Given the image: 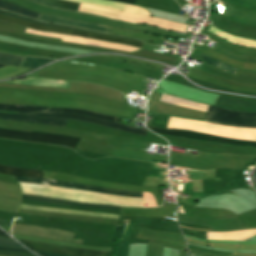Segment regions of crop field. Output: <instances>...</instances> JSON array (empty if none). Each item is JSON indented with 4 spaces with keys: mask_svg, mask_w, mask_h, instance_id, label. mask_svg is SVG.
<instances>
[{
    "mask_svg": "<svg viewBox=\"0 0 256 256\" xmlns=\"http://www.w3.org/2000/svg\"><path fill=\"white\" fill-rule=\"evenodd\" d=\"M33 115H43V116H53V117H63L70 118L90 123H95L123 131H128L132 133H137L141 135L147 134L146 130L138 129L130 126H126L119 123H114L106 120H101L93 117L75 115V114H59V113H33ZM0 119H9L16 120L22 122H30V123H38V124H46V125H54V126H62L65 127L67 119L62 118H52V117H42V116H32V115H18V114H8V113H0Z\"/></svg>",
    "mask_w": 256,
    "mask_h": 256,
    "instance_id": "crop-field-1",
    "label": "crop field"
},
{
    "mask_svg": "<svg viewBox=\"0 0 256 256\" xmlns=\"http://www.w3.org/2000/svg\"><path fill=\"white\" fill-rule=\"evenodd\" d=\"M0 173L12 174V175H17V176L41 178L42 171H33V170H26V169H20V168H14V167L0 165ZM17 176H14V178L20 182L52 185V186L74 188V189L96 191V192L118 194V195H126V196H134V197H142V192L114 190V189L85 186V185H81V184L67 183V182H61V181H55V180L17 177Z\"/></svg>",
    "mask_w": 256,
    "mask_h": 256,
    "instance_id": "crop-field-2",
    "label": "crop field"
},
{
    "mask_svg": "<svg viewBox=\"0 0 256 256\" xmlns=\"http://www.w3.org/2000/svg\"><path fill=\"white\" fill-rule=\"evenodd\" d=\"M0 13L7 14V15H10V16H14V17H17V18H21V19H24V20H27V21H31V22L40 24V25L60 27V28H66V29H71V30H76V31H82V32L97 34V35L109 36V35L95 33V32H91V31H87V30L67 27V26L42 23V22L30 19V18H26V17H23V16H19V15L13 14V13L6 12V11H3V10H0ZM3 14H0V20L6 21V22H10V23L20 24V25H23V26H26V27H30V28H34V29H38V30H41V31L63 33V34H69V35L85 37V38H91V39L102 40V41L124 43V44H129V45L137 46V47H140V48H141V45H142V43H139L140 41L139 42H133V41H136V40H133V41H127V40H131V39L121 40V39H126V38L115 39V38H120V37L109 38V37H114V36L103 37V36H97V35H92V34H87V33H81V32H76V31H71V30H66V29L40 26V25L31 23V22H27V21H24V20H21V19H17V18H14V17L3 15Z\"/></svg>",
    "mask_w": 256,
    "mask_h": 256,
    "instance_id": "crop-field-3",
    "label": "crop field"
},
{
    "mask_svg": "<svg viewBox=\"0 0 256 256\" xmlns=\"http://www.w3.org/2000/svg\"><path fill=\"white\" fill-rule=\"evenodd\" d=\"M205 121L223 125L256 127V113L231 111L209 106Z\"/></svg>",
    "mask_w": 256,
    "mask_h": 256,
    "instance_id": "crop-field-4",
    "label": "crop field"
},
{
    "mask_svg": "<svg viewBox=\"0 0 256 256\" xmlns=\"http://www.w3.org/2000/svg\"><path fill=\"white\" fill-rule=\"evenodd\" d=\"M0 137L61 145L69 148H74L79 141L78 138H73L69 136L51 135L42 132L13 131L5 129H0Z\"/></svg>",
    "mask_w": 256,
    "mask_h": 256,
    "instance_id": "crop-field-5",
    "label": "crop field"
},
{
    "mask_svg": "<svg viewBox=\"0 0 256 256\" xmlns=\"http://www.w3.org/2000/svg\"><path fill=\"white\" fill-rule=\"evenodd\" d=\"M0 7L4 8V9H7V10L17 12V13H20V14H23V15H27V16H30V17H33V18H35L36 15L38 14V13L28 11L26 9H23V8L19 7V6H16V5L7 3V2H3V1H0ZM36 19L43 20V21L60 23V24H65V25H70V26H75V27L89 29V30H93V31H99V32L110 33L111 30H112L110 28L96 26V25H92V24L86 23V22H81V21H76V20H71V19H65V18H60V17H54V16H49V15H43V14H38Z\"/></svg>",
    "mask_w": 256,
    "mask_h": 256,
    "instance_id": "crop-field-6",
    "label": "crop field"
},
{
    "mask_svg": "<svg viewBox=\"0 0 256 256\" xmlns=\"http://www.w3.org/2000/svg\"><path fill=\"white\" fill-rule=\"evenodd\" d=\"M24 246L34 251L46 252L63 256H112L113 253L68 248L51 244L19 240Z\"/></svg>",
    "mask_w": 256,
    "mask_h": 256,
    "instance_id": "crop-field-7",
    "label": "crop field"
},
{
    "mask_svg": "<svg viewBox=\"0 0 256 256\" xmlns=\"http://www.w3.org/2000/svg\"><path fill=\"white\" fill-rule=\"evenodd\" d=\"M148 127V126H147ZM149 130L155 133H163V134H170L182 138L194 139V140H210L219 143L231 144V145H247V146H256V141H239V140H232L218 136H212L207 134L183 131V130H165V129H158L153 127H148Z\"/></svg>",
    "mask_w": 256,
    "mask_h": 256,
    "instance_id": "crop-field-8",
    "label": "crop field"
},
{
    "mask_svg": "<svg viewBox=\"0 0 256 256\" xmlns=\"http://www.w3.org/2000/svg\"><path fill=\"white\" fill-rule=\"evenodd\" d=\"M22 199L46 202V203H52V204H64V205L82 206V207H90V208H105V209H115V210L134 211V212L157 211V208H125V207L102 205V204H86V203H79V202H73V201H67V200H61V199H55V198H49V197L27 195V194H23Z\"/></svg>",
    "mask_w": 256,
    "mask_h": 256,
    "instance_id": "crop-field-9",
    "label": "crop field"
},
{
    "mask_svg": "<svg viewBox=\"0 0 256 256\" xmlns=\"http://www.w3.org/2000/svg\"><path fill=\"white\" fill-rule=\"evenodd\" d=\"M69 1L92 4V5H97V6H101V7L113 8V9H118V10H122V11H127V12H132V13L149 16V13L144 8L132 6V5L121 4V3H117V2H111V1H106V0H69Z\"/></svg>",
    "mask_w": 256,
    "mask_h": 256,
    "instance_id": "crop-field-10",
    "label": "crop field"
},
{
    "mask_svg": "<svg viewBox=\"0 0 256 256\" xmlns=\"http://www.w3.org/2000/svg\"><path fill=\"white\" fill-rule=\"evenodd\" d=\"M19 208L22 209H30L37 211H50V212H59V213H67V214H75V215H85V216H94V217H103V218H113L118 219L119 216L115 215H107V214H99V213H90V212H81V211H72V210H62V209H51V208H42L30 205L21 204Z\"/></svg>",
    "mask_w": 256,
    "mask_h": 256,
    "instance_id": "crop-field-11",
    "label": "crop field"
},
{
    "mask_svg": "<svg viewBox=\"0 0 256 256\" xmlns=\"http://www.w3.org/2000/svg\"><path fill=\"white\" fill-rule=\"evenodd\" d=\"M208 31L215 34V35H218V36L222 37L224 40L229 41L233 44L245 45V46H248V47L256 48V41L231 36V35H229L225 32H222V31H220V30H218V29H216L212 26H209Z\"/></svg>",
    "mask_w": 256,
    "mask_h": 256,
    "instance_id": "crop-field-12",
    "label": "crop field"
},
{
    "mask_svg": "<svg viewBox=\"0 0 256 256\" xmlns=\"http://www.w3.org/2000/svg\"><path fill=\"white\" fill-rule=\"evenodd\" d=\"M48 109L47 107L39 106H27V105H11V104H0V110L17 111L23 114H29L32 112H42Z\"/></svg>",
    "mask_w": 256,
    "mask_h": 256,
    "instance_id": "crop-field-13",
    "label": "crop field"
},
{
    "mask_svg": "<svg viewBox=\"0 0 256 256\" xmlns=\"http://www.w3.org/2000/svg\"><path fill=\"white\" fill-rule=\"evenodd\" d=\"M44 112H63V113H77V114H82V115H88V116H94L110 121L116 122L118 118L116 117H111V116H106V115H101V114H96V113H91L87 111H82V110H73V109H58V108H50Z\"/></svg>",
    "mask_w": 256,
    "mask_h": 256,
    "instance_id": "crop-field-14",
    "label": "crop field"
},
{
    "mask_svg": "<svg viewBox=\"0 0 256 256\" xmlns=\"http://www.w3.org/2000/svg\"><path fill=\"white\" fill-rule=\"evenodd\" d=\"M42 4L68 9V10H75L78 3H72L64 0H33Z\"/></svg>",
    "mask_w": 256,
    "mask_h": 256,
    "instance_id": "crop-field-15",
    "label": "crop field"
},
{
    "mask_svg": "<svg viewBox=\"0 0 256 256\" xmlns=\"http://www.w3.org/2000/svg\"><path fill=\"white\" fill-rule=\"evenodd\" d=\"M55 61L53 59H45V58H31V57H26L24 62L22 63L21 67L23 68H31V69H36L46 63Z\"/></svg>",
    "mask_w": 256,
    "mask_h": 256,
    "instance_id": "crop-field-16",
    "label": "crop field"
},
{
    "mask_svg": "<svg viewBox=\"0 0 256 256\" xmlns=\"http://www.w3.org/2000/svg\"><path fill=\"white\" fill-rule=\"evenodd\" d=\"M200 55H201L203 61H205V62H207V63H209L211 65H214V66H216V67H218V68H220L222 70H225V71H227V72H229L231 74H233L234 71L236 70V68H234L232 66H229V65H227L225 63H222V62H220L218 60H215V59H213L211 57H208V56H206L204 54H200Z\"/></svg>",
    "mask_w": 256,
    "mask_h": 256,
    "instance_id": "crop-field-17",
    "label": "crop field"
},
{
    "mask_svg": "<svg viewBox=\"0 0 256 256\" xmlns=\"http://www.w3.org/2000/svg\"><path fill=\"white\" fill-rule=\"evenodd\" d=\"M23 59L24 57L21 56L0 53V63L2 64L18 66Z\"/></svg>",
    "mask_w": 256,
    "mask_h": 256,
    "instance_id": "crop-field-18",
    "label": "crop field"
},
{
    "mask_svg": "<svg viewBox=\"0 0 256 256\" xmlns=\"http://www.w3.org/2000/svg\"><path fill=\"white\" fill-rule=\"evenodd\" d=\"M0 246L25 249L24 247L20 246L16 241L4 238H0Z\"/></svg>",
    "mask_w": 256,
    "mask_h": 256,
    "instance_id": "crop-field-19",
    "label": "crop field"
},
{
    "mask_svg": "<svg viewBox=\"0 0 256 256\" xmlns=\"http://www.w3.org/2000/svg\"><path fill=\"white\" fill-rule=\"evenodd\" d=\"M0 250H1V251H7V252L31 254V253L28 252V251L18 250V249H12V248H5V247H0Z\"/></svg>",
    "mask_w": 256,
    "mask_h": 256,
    "instance_id": "crop-field-20",
    "label": "crop field"
},
{
    "mask_svg": "<svg viewBox=\"0 0 256 256\" xmlns=\"http://www.w3.org/2000/svg\"><path fill=\"white\" fill-rule=\"evenodd\" d=\"M0 255H4V256H28V255H21V254L7 253V252H1V251H0Z\"/></svg>",
    "mask_w": 256,
    "mask_h": 256,
    "instance_id": "crop-field-21",
    "label": "crop field"
},
{
    "mask_svg": "<svg viewBox=\"0 0 256 256\" xmlns=\"http://www.w3.org/2000/svg\"><path fill=\"white\" fill-rule=\"evenodd\" d=\"M112 1H117L122 3L132 4V5H134L136 2V0H112Z\"/></svg>",
    "mask_w": 256,
    "mask_h": 256,
    "instance_id": "crop-field-22",
    "label": "crop field"
},
{
    "mask_svg": "<svg viewBox=\"0 0 256 256\" xmlns=\"http://www.w3.org/2000/svg\"><path fill=\"white\" fill-rule=\"evenodd\" d=\"M40 256H56V255H50V254H45V253H40V252H35Z\"/></svg>",
    "mask_w": 256,
    "mask_h": 256,
    "instance_id": "crop-field-23",
    "label": "crop field"
},
{
    "mask_svg": "<svg viewBox=\"0 0 256 256\" xmlns=\"http://www.w3.org/2000/svg\"><path fill=\"white\" fill-rule=\"evenodd\" d=\"M0 236H3V237H9L7 234H5L3 231L0 230ZM11 238V237H9Z\"/></svg>",
    "mask_w": 256,
    "mask_h": 256,
    "instance_id": "crop-field-24",
    "label": "crop field"
},
{
    "mask_svg": "<svg viewBox=\"0 0 256 256\" xmlns=\"http://www.w3.org/2000/svg\"><path fill=\"white\" fill-rule=\"evenodd\" d=\"M2 66H4V65H0V67H2Z\"/></svg>",
    "mask_w": 256,
    "mask_h": 256,
    "instance_id": "crop-field-25",
    "label": "crop field"
}]
</instances>
